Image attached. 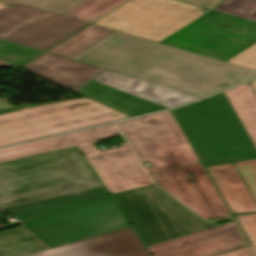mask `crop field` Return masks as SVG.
<instances>
[{
  "label": "crop field",
  "mask_w": 256,
  "mask_h": 256,
  "mask_svg": "<svg viewBox=\"0 0 256 256\" xmlns=\"http://www.w3.org/2000/svg\"><path fill=\"white\" fill-rule=\"evenodd\" d=\"M253 255L252 251L250 250L249 246L240 248L231 252H227L217 256H251Z\"/></svg>",
  "instance_id": "obj_28"
},
{
  "label": "crop field",
  "mask_w": 256,
  "mask_h": 256,
  "mask_svg": "<svg viewBox=\"0 0 256 256\" xmlns=\"http://www.w3.org/2000/svg\"><path fill=\"white\" fill-rule=\"evenodd\" d=\"M170 112L203 166L256 159L224 92Z\"/></svg>",
  "instance_id": "obj_3"
},
{
  "label": "crop field",
  "mask_w": 256,
  "mask_h": 256,
  "mask_svg": "<svg viewBox=\"0 0 256 256\" xmlns=\"http://www.w3.org/2000/svg\"><path fill=\"white\" fill-rule=\"evenodd\" d=\"M112 197L147 247L217 226L206 223L155 185Z\"/></svg>",
  "instance_id": "obj_6"
},
{
  "label": "crop field",
  "mask_w": 256,
  "mask_h": 256,
  "mask_svg": "<svg viewBox=\"0 0 256 256\" xmlns=\"http://www.w3.org/2000/svg\"><path fill=\"white\" fill-rule=\"evenodd\" d=\"M152 178L203 218L230 216L200 163L152 175Z\"/></svg>",
  "instance_id": "obj_12"
},
{
  "label": "crop field",
  "mask_w": 256,
  "mask_h": 256,
  "mask_svg": "<svg viewBox=\"0 0 256 256\" xmlns=\"http://www.w3.org/2000/svg\"><path fill=\"white\" fill-rule=\"evenodd\" d=\"M128 118L89 98L50 103L0 115V147Z\"/></svg>",
  "instance_id": "obj_5"
},
{
  "label": "crop field",
  "mask_w": 256,
  "mask_h": 256,
  "mask_svg": "<svg viewBox=\"0 0 256 256\" xmlns=\"http://www.w3.org/2000/svg\"><path fill=\"white\" fill-rule=\"evenodd\" d=\"M122 135L115 124L79 131L0 150V162L77 145L110 194L153 185L127 143L117 149L97 151L94 144Z\"/></svg>",
  "instance_id": "obj_4"
},
{
  "label": "crop field",
  "mask_w": 256,
  "mask_h": 256,
  "mask_svg": "<svg viewBox=\"0 0 256 256\" xmlns=\"http://www.w3.org/2000/svg\"><path fill=\"white\" fill-rule=\"evenodd\" d=\"M22 226L0 232V256H24L128 223L91 168L0 189Z\"/></svg>",
  "instance_id": "obj_1"
},
{
  "label": "crop field",
  "mask_w": 256,
  "mask_h": 256,
  "mask_svg": "<svg viewBox=\"0 0 256 256\" xmlns=\"http://www.w3.org/2000/svg\"><path fill=\"white\" fill-rule=\"evenodd\" d=\"M235 223L229 222L156 246L149 247L153 256H210L246 246Z\"/></svg>",
  "instance_id": "obj_14"
},
{
  "label": "crop field",
  "mask_w": 256,
  "mask_h": 256,
  "mask_svg": "<svg viewBox=\"0 0 256 256\" xmlns=\"http://www.w3.org/2000/svg\"><path fill=\"white\" fill-rule=\"evenodd\" d=\"M75 147L0 163V188L87 168Z\"/></svg>",
  "instance_id": "obj_13"
},
{
  "label": "crop field",
  "mask_w": 256,
  "mask_h": 256,
  "mask_svg": "<svg viewBox=\"0 0 256 256\" xmlns=\"http://www.w3.org/2000/svg\"><path fill=\"white\" fill-rule=\"evenodd\" d=\"M28 256H150L130 226Z\"/></svg>",
  "instance_id": "obj_15"
},
{
  "label": "crop field",
  "mask_w": 256,
  "mask_h": 256,
  "mask_svg": "<svg viewBox=\"0 0 256 256\" xmlns=\"http://www.w3.org/2000/svg\"><path fill=\"white\" fill-rule=\"evenodd\" d=\"M181 1L211 9L216 4H218L221 0H181Z\"/></svg>",
  "instance_id": "obj_27"
},
{
  "label": "crop field",
  "mask_w": 256,
  "mask_h": 256,
  "mask_svg": "<svg viewBox=\"0 0 256 256\" xmlns=\"http://www.w3.org/2000/svg\"><path fill=\"white\" fill-rule=\"evenodd\" d=\"M84 0H0L11 5L22 4L55 14H63Z\"/></svg>",
  "instance_id": "obj_21"
},
{
  "label": "crop field",
  "mask_w": 256,
  "mask_h": 256,
  "mask_svg": "<svg viewBox=\"0 0 256 256\" xmlns=\"http://www.w3.org/2000/svg\"><path fill=\"white\" fill-rule=\"evenodd\" d=\"M23 108H27V107L15 108V109H8V110H0V114H2V113H7V112H11V111H15V110H19V109H23Z\"/></svg>",
  "instance_id": "obj_30"
},
{
  "label": "crop field",
  "mask_w": 256,
  "mask_h": 256,
  "mask_svg": "<svg viewBox=\"0 0 256 256\" xmlns=\"http://www.w3.org/2000/svg\"><path fill=\"white\" fill-rule=\"evenodd\" d=\"M126 0H86L62 16L92 22Z\"/></svg>",
  "instance_id": "obj_20"
},
{
  "label": "crop field",
  "mask_w": 256,
  "mask_h": 256,
  "mask_svg": "<svg viewBox=\"0 0 256 256\" xmlns=\"http://www.w3.org/2000/svg\"><path fill=\"white\" fill-rule=\"evenodd\" d=\"M256 42V23L214 10L159 42L228 61Z\"/></svg>",
  "instance_id": "obj_8"
},
{
  "label": "crop field",
  "mask_w": 256,
  "mask_h": 256,
  "mask_svg": "<svg viewBox=\"0 0 256 256\" xmlns=\"http://www.w3.org/2000/svg\"><path fill=\"white\" fill-rule=\"evenodd\" d=\"M256 253V214L236 216Z\"/></svg>",
  "instance_id": "obj_25"
},
{
  "label": "crop field",
  "mask_w": 256,
  "mask_h": 256,
  "mask_svg": "<svg viewBox=\"0 0 256 256\" xmlns=\"http://www.w3.org/2000/svg\"><path fill=\"white\" fill-rule=\"evenodd\" d=\"M111 33V30L91 24L47 52L70 58Z\"/></svg>",
  "instance_id": "obj_19"
},
{
  "label": "crop field",
  "mask_w": 256,
  "mask_h": 256,
  "mask_svg": "<svg viewBox=\"0 0 256 256\" xmlns=\"http://www.w3.org/2000/svg\"><path fill=\"white\" fill-rule=\"evenodd\" d=\"M256 201V160L234 163Z\"/></svg>",
  "instance_id": "obj_24"
},
{
  "label": "crop field",
  "mask_w": 256,
  "mask_h": 256,
  "mask_svg": "<svg viewBox=\"0 0 256 256\" xmlns=\"http://www.w3.org/2000/svg\"><path fill=\"white\" fill-rule=\"evenodd\" d=\"M41 52L42 51H38L0 39V58L18 66L27 62Z\"/></svg>",
  "instance_id": "obj_22"
},
{
  "label": "crop field",
  "mask_w": 256,
  "mask_h": 256,
  "mask_svg": "<svg viewBox=\"0 0 256 256\" xmlns=\"http://www.w3.org/2000/svg\"><path fill=\"white\" fill-rule=\"evenodd\" d=\"M214 10L256 21V0H223Z\"/></svg>",
  "instance_id": "obj_23"
},
{
  "label": "crop field",
  "mask_w": 256,
  "mask_h": 256,
  "mask_svg": "<svg viewBox=\"0 0 256 256\" xmlns=\"http://www.w3.org/2000/svg\"><path fill=\"white\" fill-rule=\"evenodd\" d=\"M8 8H10V7L0 9V14H1L2 12H4L5 10H7Z\"/></svg>",
  "instance_id": "obj_34"
},
{
  "label": "crop field",
  "mask_w": 256,
  "mask_h": 256,
  "mask_svg": "<svg viewBox=\"0 0 256 256\" xmlns=\"http://www.w3.org/2000/svg\"><path fill=\"white\" fill-rule=\"evenodd\" d=\"M204 14L173 0H130L92 24L159 42Z\"/></svg>",
  "instance_id": "obj_10"
},
{
  "label": "crop field",
  "mask_w": 256,
  "mask_h": 256,
  "mask_svg": "<svg viewBox=\"0 0 256 256\" xmlns=\"http://www.w3.org/2000/svg\"><path fill=\"white\" fill-rule=\"evenodd\" d=\"M7 6H10V5H7V4H4V3H0V8L7 7Z\"/></svg>",
  "instance_id": "obj_33"
},
{
  "label": "crop field",
  "mask_w": 256,
  "mask_h": 256,
  "mask_svg": "<svg viewBox=\"0 0 256 256\" xmlns=\"http://www.w3.org/2000/svg\"><path fill=\"white\" fill-rule=\"evenodd\" d=\"M8 108H14V106L0 100V109H8Z\"/></svg>",
  "instance_id": "obj_29"
},
{
  "label": "crop field",
  "mask_w": 256,
  "mask_h": 256,
  "mask_svg": "<svg viewBox=\"0 0 256 256\" xmlns=\"http://www.w3.org/2000/svg\"><path fill=\"white\" fill-rule=\"evenodd\" d=\"M251 85H252V87H253V89H254V91L256 93V80L251 82Z\"/></svg>",
  "instance_id": "obj_31"
},
{
  "label": "crop field",
  "mask_w": 256,
  "mask_h": 256,
  "mask_svg": "<svg viewBox=\"0 0 256 256\" xmlns=\"http://www.w3.org/2000/svg\"><path fill=\"white\" fill-rule=\"evenodd\" d=\"M87 24L17 5L0 15V38L44 51Z\"/></svg>",
  "instance_id": "obj_11"
},
{
  "label": "crop field",
  "mask_w": 256,
  "mask_h": 256,
  "mask_svg": "<svg viewBox=\"0 0 256 256\" xmlns=\"http://www.w3.org/2000/svg\"><path fill=\"white\" fill-rule=\"evenodd\" d=\"M71 59L200 96L256 75V71L117 31Z\"/></svg>",
  "instance_id": "obj_2"
},
{
  "label": "crop field",
  "mask_w": 256,
  "mask_h": 256,
  "mask_svg": "<svg viewBox=\"0 0 256 256\" xmlns=\"http://www.w3.org/2000/svg\"><path fill=\"white\" fill-rule=\"evenodd\" d=\"M141 163L150 162L156 174L198 162L181 129L169 111L117 123Z\"/></svg>",
  "instance_id": "obj_7"
},
{
  "label": "crop field",
  "mask_w": 256,
  "mask_h": 256,
  "mask_svg": "<svg viewBox=\"0 0 256 256\" xmlns=\"http://www.w3.org/2000/svg\"><path fill=\"white\" fill-rule=\"evenodd\" d=\"M94 80L168 108L201 98L108 70Z\"/></svg>",
  "instance_id": "obj_16"
},
{
  "label": "crop field",
  "mask_w": 256,
  "mask_h": 256,
  "mask_svg": "<svg viewBox=\"0 0 256 256\" xmlns=\"http://www.w3.org/2000/svg\"><path fill=\"white\" fill-rule=\"evenodd\" d=\"M225 94L256 147V96L252 88L247 83Z\"/></svg>",
  "instance_id": "obj_18"
},
{
  "label": "crop field",
  "mask_w": 256,
  "mask_h": 256,
  "mask_svg": "<svg viewBox=\"0 0 256 256\" xmlns=\"http://www.w3.org/2000/svg\"><path fill=\"white\" fill-rule=\"evenodd\" d=\"M232 214L256 212V203L233 163L206 167Z\"/></svg>",
  "instance_id": "obj_17"
},
{
  "label": "crop field",
  "mask_w": 256,
  "mask_h": 256,
  "mask_svg": "<svg viewBox=\"0 0 256 256\" xmlns=\"http://www.w3.org/2000/svg\"><path fill=\"white\" fill-rule=\"evenodd\" d=\"M227 63L256 70V43L236 57L229 60Z\"/></svg>",
  "instance_id": "obj_26"
},
{
  "label": "crop field",
  "mask_w": 256,
  "mask_h": 256,
  "mask_svg": "<svg viewBox=\"0 0 256 256\" xmlns=\"http://www.w3.org/2000/svg\"><path fill=\"white\" fill-rule=\"evenodd\" d=\"M22 68L130 117L168 109L93 81L104 69L48 53L42 54ZM75 87L79 90L74 89Z\"/></svg>",
  "instance_id": "obj_9"
},
{
  "label": "crop field",
  "mask_w": 256,
  "mask_h": 256,
  "mask_svg": "<svg viewBox=\"0 0 256 256\" xmlns=\"http://www.w3.org/2000/svg\"><path fill=\"white\" fill-rule=\"evenodd\" d=\"M4 65H10V64L0 60V66H4Z\"/></svg>",
  "instance_id": "obj_32"
}]
</instances>
